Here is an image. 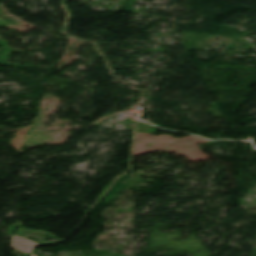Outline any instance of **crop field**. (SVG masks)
Instances as JSON below:
<instances>
[{
    "instance_id": "obj_1",
    "label": "crop field",
    "mask_w": 256,
    "mask_h": 256,
    "mask_svg": "<svg viewBox=\"0 0 256 256\" xmlns=\"http://www.w3.org/2000/svg\"><path fill=\"white\" fill-rule=\"evenodd\" d=\"M40 244L29 241L27 239L18 237L12 234L11 247L21 250L23 252L31 254L30 256H35L32 252L34 246H39Z\"/></svg>"
}]
</instances>
